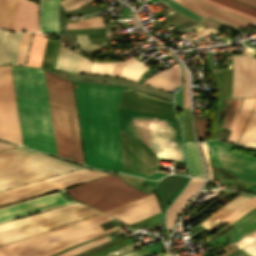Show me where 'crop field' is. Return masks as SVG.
<instances>
[{
	"instance_id": "crop-field-1",
	"label": "crop field",
	"mask_w": 256,
	"mask_h": 256,
	"mask_svg": "<svg viewBox=\"0 0 256 256\" xmlns=\"http://www.w3.org/2000/svg\"><path fill=\"white\" fill-rule=\"evenodd\" d=\"M86 162L96 168L121 172L119 113L120 99L173 110L171 103L134 91L128 87L88 85L73 82ZM122 172L150 179L166 173L150 175L123 169Z\"/></svg>"
},
{
	"instance_id": "crop-field-2",
	"label": "crop field",
	"mask_w": 256,
	"mask_h": 256,
	"mask_svg": "<svg viewBox=\"0 0 256 256\" xmlns=\"http://www.w3.org/2000/svg\"><path fill=\"white\" fill-rule=\"evenodd\" d=\"M11 69L24 145L57 155L43 71Z\"/></svg>"
},
{
	"instance_id": "crop-field-3",
	"label": "crop field",
	"mask_w": 256,
	"mask_h": 256,
	"mask_svg": "<svg viewBox=\"0 0 256 256\" xmlns=\"http://www.w3.org/2000/svg\"><path fill=\"white\" fill-rule=\"evenodd\" d=\"M44 74L58 155L83 164L70 81Z\"/></svg>"
},
{
	"instance_id": "crop-field-4",
	"label": "crop field",
	"mask_w": 256,
	"mask_h": 256,
	"mask_svg": "<svg viewBox=\"0 0 256 256\" xmlns=\"http://www.w3.org/2000/svg\"><path fill=\"white\" fill-rule=\"evenodd\" d=\"M81 168L21 147L0 152V190Z\"/></svg>"
},
{
	"instance_id": "crop-field-5",
	"label": "crop field",
	"mask_w": 256,
	"mask_h": 256,
	"mask_svg": "<svg viewBox=\"0 0 256 256\" xmlns=\"http://www.w3.org/2000/svg\"><path fill=\"white\" fill-rule=\"evenodd\" d=\"M66 192L71 197L102 212L152 193L145 194L113 174L71 188Z\"/></svg>"
},
{
	"instance_id": "crop-field-6",
	"label": "crop field",
	"mask_w": 256,
	"mask_h": 256,
	"mask_svg": "<svg viewBox=\"0 0 256 256\" xmlns=\"http://www.w3.org/2000/svg\"><path fill=\"white\" fill-rule=\"evenodd\" d=\"M0 138L22 145L10 66H0Z\"/></svg>"
},
{
	"instance_id": "crop-field-7",
	"label": "crop field",
	"mask_w": 256,
	"mask_h": 256,
	"mask_svg": "<svg viewBox=\"0 0 256 256\" xmlns=\"http://www.w3.org/2000/svg\"><path fill=\"white\" fill-rule=\"evenodd\" d=\"M207 144L213 164L248 181H256V158L232 152L234 144L218 140Z\"/></svg>"
},
{
	"instance_id": "crop-field-8",
	"label": "crop field",
	"mask_w": 256,
	"mask_h": 256,
	"mask_svg": "<svg viewBox=\"0 0 256 256\" xmlns=\"http://www.w3.org/2000/svg\"><path fill=\"white\" fill-rule=\"evenodd\" d=\"M111 220L103 213L0 247V256H9L71 233Z\"/></svg>"
},
{
	"instance_id": "crop-field-9",
	"label": "crop field",
	"mask_w": 256,
	"mask_h": 256,
	"mask_svg": "<svg viewBox=\"0 0 256 256\" xmlns=\"http://www.w3.org/2000/svg\"><path fill=\"white\" fill-rule=\"evenodd\" d=\"M100 213L88 206L0 232V245Z\"/></svg>"
},
{
	"instance_id": "crop-field-10",
	"label": "crop field",
	"mask_w": 256,
	"mask_h": 256,
	"mask_svg": "<svg viewBox=\"0 0 256 256\" xmlns=\"http://www.w3.org/2000/svg\"><path fill=\"white\" fill-rule=\"evenodd\" d=\"M106 173H100L96 171H85L82 173L74 174L64 178L56 179L46 183L38 184L28 188L20 189L10 193L0 195V206L8 203L16 202L26 198L34 197L44 193L52 192L58 189H62L68 186H72L86 180L101 176Z\"/></svg>"
},
{
	"instance_id": "crop-field-11",
	"label": "crop field",
	"mask_w": 256,
	"mask_h": 256,
	"mask_svg": "<svg viewBox=\"0 0 256 256\" xmlns=\"http://www.w3.org/2000/svg\"><path fill=\"white\" fill-rule=\"evenodd\" d=\"M72 202L75 201H68L59 192H56L53 194L0 208V222L44 211Z\"/></svg>"
},
{
	"instance_id": "crop-field-12",
	"label": "crop field",
	"mask_w": 256,
	"mask_h": 256,
	"mask_svg": "<svg viewBox=\"0 0 256 256\" xmlns=\"http://www.w3.org/2000/svg\"><path fill=\"white\" fill-rule=\"evenodd\" d=\"M121 138V158L122 167L133 170V155H134V170L150 174L156 167V158L149 155L139 145L133 141L132 155V139L120 130Z\"/></svg>"
},
{
	"instance_id": "crop-field-13",
	"label": "crop field",
	"mask_w": 256,
	"mask_h": 256,
	"mask_svg": "<svg viewBox=\"0 0 256 256\" xmlns=\"http://www.w3.org/2000/svg\"><path fill=\"white\" fill-rule=\"evenodd\" d=\"M160 211L155 194H151L105 213L126 223H133Z\"/></svg>"
},
{
	"instance_id": "crop-field-14",
	"label": "crop field",
	"mask_w": 256,
	"mask_h": 256,
	"mask_svg": "<svg viewBox=\"0 0 256 256\" xmlns=\"http://www.w3.org/2000/svg\"><path fill=\"white\" fill-rule=\"evenodd\" d=\"M232 97H250V57L232 56Z\"/></svg>"
},
{
	"instance_id": "crop-field-15",
	"label": "crop field",
	"mask_w": 256,
	"mask_h": 256,
	"mask_svg": "<svg viewBox=\"0 0 256 256\" xmlns=\"http://www.w3.org/2000/svg\"><path fill=\"white\" fill-rule=\"evenodd\" d=\"M22 28L27 31H37L38 29V12H35V3L27 0H20L15 21L14 30L21 31Z\"/></svg>"
},
{
	"instance_id": "crop-field-16",
	"label": "crop field",
	"mask_w": 256,
	"mask_h": 256,
	"mask_svg": "<svg viewBox=\"0 0 256 256\" xmlns=\"http://www.w3.org/2000/svg\"><path fill=\"white\" fill-rule=\"evenodd\" d=\"M69 79L90 81V82H96V83H111V84L127 85L145 92H149V93L173 100V95L165 91H161V90L146 86L144 84L134 83L126 80L109 78V77H100V76H88V75H81V74H74V73H69Z\"/></svg>"
},
{
	"instance_id": "crop-field-17",
	"label": "crop field",
	"mask_w": 256,
	"mask_h": 256,
	"mask_svg": "<svg viewBox=\"0 0 256 256\" xmlns=\"http://www.w3.org/2000/svg\"><path fill=\"white\" fill-rule=\"evenodd\" d=\"M100 231H103V229L99 225H97V226L91 227L89 229L74 233L72 235L57 239L55 241L40 245L38 247L23 251L21 253H18V254L12 255V256H35L37 254L54 249L56 247L62 246L64 244L73 242L75 240L84 238L86 236L92 235V234L100 232Z\"/></svg>"
},
{
	"instance_id": "crop-field-18",
	"label": "crop field",
	"mask_w": 256,
	"mask_h": 256,
	"mask_svg": "<svg viewBox=\"0 0 256 256\" xmlns=\"http://www.w3.org/2000/svg\"><path fill=\"white\" fill-rule=\"evenodd\" d=\"M202 182L203 180L192 178V180L187 185L185 190L168 208L166 212V226H167L168 232L172 228L174 221L177 215L179 214V212L182 210V208L185 206L188 200L194 195V193L197 191V189L202 184Z\"/></svg>"
},
{
	"instance_id": "crop-field-19",
	"label": "crop field",
	"mask_w": 256,
	"mask_h": 256,
	"mask_svg": "<svg viewBox=\"0 0 256 256\" xmlns=\"http://www.w3.org/2000/svg\"><path fill=\"white\" fill-rule=\"evenodd\" d=\"M144 84L155 88H162L169 91L180 85V71L178 64L161 72L155 74L144 81Z\"/></svg>"
},
{
	"instance_id": "crop-field-20",
	"label": "crop field",
	"mask_w": 256,
	"mask_h": 256,
	"mask_svg": "<svg viewBox=\"0 0 256 256\" xmlns=\"http://www.w3.org/2000/svg\"><path fill=\"white\" fill-rule=\"evenodd\" d=\"M59 0H42L41 31L57 33Z\"/></svg>"
},
{
	"instance_id": "crop-field-21",
	"label": "crop field",
	"mask_w": 256,
	"mask_h": 256,
	"mask_svg": "<svg viewBox=\"0 0 256 256\" xmlns=\"http://www.w3.org/2000/svg\"><path fill=\"white\" fill-rule=\"evenodd\" d=\"M81 206H85V205L80 204V203H76V204L68 205V206H65V207L57 208V209H54V210L41 212V213H38V214H35V215H30V216L22 217V218L15 219V220H12V221L4 222V223L0 224V230H4V229H7V228L14 227V226H17V225H21V224L31 222V221H34V220H37V219H41V218L48 217V216H51V215H54V214L65 212V211L75 209V208H78V207H81Z\"/></svg>"
},
{
	"instance_id": "crop-field-22",
	"label": "crop field",
	"mask_w": 256,
	"mask_h": 256,
	"mask_svg": "<svg viewBox=\"0 0 256 256\" xmlns=\"http://www.w3.org/2000/svg\"><path fill=\"white\" fill-rule=\"evenodd\" d=\"M176 1L179 2L180 4H182L183 6L187 7L188 9H190L196 13H199L201 15H204L206 17L212 15L217 18H220V19L226 20L228 22L234 23L236 25H239V26L245 27L247 25V23H245V22L239 21V20L229 17L227 15H224V14H221L214 10L208 9L193 0H176Z\"/></svg>"
},
{
	"instance_id": "crop-field-23",
	"label": "crop field",
	"mask_w": 256,
	"mask_h": 256,
	"mask_svg": "<svg viewBox=\"0 0 256 256\" xmlns=\"http://www.w3.org/2000/svg\"><path fill=\"white\" fill-rule=\"evenodd\" d=\"M79 58L80 55H78L74 51L66 47L60 46L54 69L70 70L76 72Z\"/></svg>"
},
{
	"instance_id": "crop-field-24",
	"label": "crop field",
	"mask_w": 256,
	"mask_h": 256,
	"mask_svg": "<svg viewBox=\"0 0 256 256\" xmlns=\"http://www.w3.org/2000/svg\"><path fill=\"white\" fill-rule=\"evenodd\" d=\"M47 39L42 34L34 33L26 65L40 67Z\"/></svg>"
},
{
	"instance_id": "crop-field-25",
	"label": "crop field",
	"mask_w": 256,
	"mask_h": 256,
	"mask_svg": "<svg viewBox=\"0 0 256 256\" xmlns=\"http://www.w3.org/2000/svg\"><path fill=\"white\" fill-rule=\"evenodd\" d=\"M22 35L9 32L1 64L16 63Z\"/></svg>"
},
{
	"instance_id": "crop-field-26",
	"label": "crop field",
	"mask_w": 256,
	"mask_h": 256,
	"mask_svg": "<svg viewBox=\"0 0 256 256\" xmlns=\"http://www.w3.org/2000/svg\"><path fill=\"white\" fill-rule=\"evenodd\" d=\"M247 199H249V197H245L241 195L237 196L236 198H234L233 200H231L230 202L222 206L219 210H217L214 214H212L210 217L205 219L200 224H202L207 229L211 228L216 222H218L223 216H225L228 212H230L235 206H237L238 204L242 203ZM217 216L218 218L213 220Z\"/></svg>"
},
{
	"instance_id": "crop-field-27",
	"label": "crop field",
	"mask_w": 256,
	"mask_h": 256,
	"mask_svg": "<svg viewBox=\"0 0 256 256\" xmlns=\"http://www.w3.org/2000/svg\"><path fill=\"white\" fill-rule=\"evenodd\" d=\"M185 150L188 154L192 176L205 178L195 142H185Z\"/></svg>"
},
{
	"instance_id": "crop-field-28",
	"label": "crop field",
	"mask_w": 256,
	"mask_h": 256,
	"mask_svg": "<svg viewBox=\"0 0 256 256\" xmlns=\"http://www.w3.org/2000/svg\"><path fill=\"white\" fill-rule=\"evenodd\" d=\"M256 229V211L231 227L233 240L236 241Z\"/></svg>"
},
{
	"instance_id": "crop-field-29",
	"label": "crop field",
	"mask_w": 256,
	"mask_h": 256,
	"mask_svg": "<svg viewBox=\"0 0 256 256\" xmlns=\"http://www.w3.org/2000/svg\"><path fill=\"white\" fill-rule=\"evenodd\" d=\"M256 98H247L243 100V103L241 105L240 111L238 113L237 119L235 121L234 127L232 129V133L228 140L234 141L254 103Z\"/></svg>"
},
{
	"instance_id": "crop-field-30",
	"label": "crop field",
	"mask_w": 256,
	"mask_h": 256,
	"mask_svg": "<svg viewBox=\"0 0 256 256\" xmlns=\"http://www.w3.org/2000/svg\"><path fill=\"white\" fill-rule=\"evenodd\" d=\"M239 143L256 148V107Z\"/></svg>"
},
{
	"instance_id": "crop-field-31",
	"label": "crop field",
	"mask_w": 256,
	"mask_h": 256,
	"mask_svg": "<svg viewBox=\"0 0 256 256\" xmlns=\"http://www.w3.org/2000/svg\"><path fill=\"white\" fill-rule=\"evenodd\" d=\"M141 62L136 59L133 60L128 65L123 67L119 76L138 81L140 75L149 70L146 66L143 65L144 63Z\"/></svg>"
},
{
	"instance_id": "crop-field-32",
	"label": "crop field",
	"mask_w": 256,
	"mask_h": 256,
	"mask_svg": "<svg viewBox=\"0 0 256 256\" xmlns=\"http://www.w3.org/2000/svg\"><path fill=\"white\" fill-rule=\"evenodd\" d=\"M256 207V196L235 207L227 216L222 218L227 223H232L250 209Z\"/></svg>"
},
{
	"instance_id": "crop-field-33",
	"label": "crop field",
	"mask_w": 256,
	"mask_h": 256,
	"mask_svg": "<svg viewBox=\"0 0 256 256\" xmlns=\"http://www.w3.org/2000/svg\"><path fill=\"white\" fill-rule=\"evenodd\" d=\"M231 100V107L228 111L229 108V102ZM241 102V98H237V99H227L226 101V106H225V115H224V119H223V128L226 129H232L233 123H234V119H235V115L237 113V110L239 108ZM228 111V113H227Z\"/></svg>"
},
{
	"instance_id": "crop-field-34",
	"label": "crop field",
	"mask_w": 256,
	"mask_h": 256,
	"mask_svg": "<svg viewBox=\"0 0 256 256\" xmlns=\"http://www.w3.org/2000/svg\"><path fill=\"white\" fill-rule=\"evenodd\" d=\"M210 1L218 3L225 7L231 8L233 10H236L238 12H241V13H244L246 15L256 18V9L255 8L245 5L236 0H210Z\"/></svg>"
},
{
	"instance_id": "crop-field-35",
	"label": "crop field",
	"mask_w": 256,
	"mask_h": 256,
	"mask_svg": "<svg viewBox=\"0 0 256 256\" xmlns=\"http://www.w3.org/2000/svg\"><path fill=\"white\" fill-rule=\"evenodd\" d=\"M103 9H107V6L106 5H101V6H97V7H94L92 9H89L87 11H83V12H79V13L74 11V12L66 14L64 12V10L62 9L61 5L59 4L58 33H64L65 17L71 16V15H76V14H80V15L88 14V13L100 11V10H103Z\"/></svg>"
},
{
	"instance_id": "crop-field-36",
	"label": "crop field",
	"mask_w": 256,
	"mask_h": 256,
	"mask_svg": "<svg viewBox=\"0 0 256 256\" xmlns=\"http://www.w3.org/2000/svg\"><path fill=\"white\" fill-rule=\"evenodd\" d=\"M164 3H166L169 7H171L172 9H174L175 11L187 16L188 18L197 21V22H201L203 21L206 17L197 15L193 12H191L190 10L186 9L185 7L181 6L179 3H177L174 0H162Z\"/></svg>"
},
{
	"instance_id": "crop-field-37",
	"label": "crop field",
	"mask_w": 256,
	"mask_h": 256,
	"mask_svg": "<svg viewBox=\"0 0 256 256\" xmlns=\"http://www.w3.org/2000/svg\"><path fill=\"white\" fill-rule=\"evenodd\" d=\"M103 25V19L101 16L83 19L75 24H67V28L69 29H79V28H93V27H102Z\"/></svg>"
},
{
	"instance_id": "crop-field-38",
	"label": "crop field",
	"mask_w": 256,
	"mask_h": 256,
	"mask_svg": "<svg viewBox=\"0 0 256 256\" xmlns=\"http://www.w3.org/2000/svg\"><path fill=\"white\" fill-rule=\"evenodd\" d=\"M18 2H19V0H11L1 27L9 28V29L12 28V24H13L16 9H17V6H18Z\"/></svg>"
},
{
	"instance_id": "crop-field-39",
	"label": "crop field",
	"mask_w": 256,
	"mask_h": 256,
	"mask_svg": "<svg viewBox=\"0 0 256 256\" xmlns=\"http://www.w3.org/2000/svg\"><path fill=\"white\" fill-rule=\"evenodd\" d=\"M67 34H87L88 38L106 36V27L94 29L69 30Z\"/></svg>"
},
{
	"instance_id": "crop-field-40",
	"label": "crop field",
	"mask_w": 256,
	"mask_h": 256,
	"mask_svg": "<svg viewBox=\"0 0 256 256\" xmlns=\"http://www.w3.org/2000/svg\"><path fill=\"white\" fill-rule=\"evenodd\" d=\"M85 170H89V169L82 168V169H78V170L71 171V172H68V173H64V174H61V175H57V176H53V177L46 178V179H43V180H39V181H36V182H32V183H29V184H25V185H21V186H18V187L11 188V189L3 190V191H0V194L10 192V191H13V190H17V189H20V188L28 187V186H31V185H35V184H38V183L46 182V181L53 180V179H56V178L64 177V176L71 175V174H74V173L82 172V171H85Z\"/></svg>"
},
{
	"instance_id": "crop-field-41",
	"label": "crop field",
	"mask_w": 256,
	"mask_h": 256,
	"mask_svg": "<svg viewBox=\"0 0 256 256\" xmlns=\"http://www.w3.org/2000/svg\"><path fill=\"white\" fill-rule=\"evenodd\" d=\"M115 62L98 63L94 62L91 73L94 74H111Z\"/></svg>"
},
{
	"instance_id": "crop-field-42",
	"label": "crop field",
	"mask_w": 256,
	"mask_h": 256,
	"mask_svg": "<svg viewBox=\"0 0 256 256\" xmlns=\"http://www.w3.org/2000/svg\"><path fill=\"white\" fill-rule=\"evenodd\" d=\"M30 36H31V33H24L16 64H20V65L24 64V60H25L28 45H29Z\"/></svg>"
},
{
	"instance_id": "crop-field-43",
	"label": "crop field",
	"mask_w": 256,
	"mask_h": 256,
	"mask_svg": "<svg viewBox=\"0 0 256 256\" xmlns=\"http://www.w3.org/2000/svg\"><path fill=\"white\" fill-rule=\"evenodd\" d=\"M76 37H77L80 49L84 52H89V51L96 50V49H99V48H102L105 46V42L99 46H95V45L90 46L86 35H76ZM98 44H100V43H97L96 45H98Z\"/></svg>"
},
{
	"instance_id": "crop-field-44",
	"label": "crop field",
	"mask_w": 256,
	"mask_h": 256,
	"mask_svg": "<svg viewBox=\"0 0 256 256\" xmlns=\"http://www.w3.org/2000/svg\"><path fill=\"white\" fill-rule=\"evenodd\" d=\"M94 0H62L60 1V4L62 5L65 12L76 9L80 6H83L89 2H92Z\"/></svg>"
},
{
	"instance_id": "crop-field-45",
	"label": "crop field",
	"mask_w": 256,
	"mask_h": 256,
	"mask_svg": "<svg viewBox=\"0 0 256 256\" xmlns=\"http://www.w3.org/2000/svg\"><path fill=\"white\" fill-rule=\"evenodd\" d=\"M107 240H109V238L107 236H105L103 238H100V239L95 240L93 242H90V243H87L85 245L79 246V247H77V248H75V249H73V250H71L69 252H66V253L58 255V256H72V255H74V254H76L78 252H81V251H83L85 249H88V248H90V247H92L94 245H97V244L102 243V242L107 241Z\"/></svg>"
},
{
	"instance_id": "crop-field-46",
	"label": "crop field",
	"mask_w": 256,
	"mask_h": 256,
	"mask_svg": "<svg viewBox=\"0 0 256 256\" xmlns=\"http://www.w3.org/2000/svg\"><path fill=\"white\" fill-rule=\"evenodd\" d=\"M121 227H122L121 225L116 226V227H114V228H111V229H108V230L103 231V232H101V233H98V234L92 235V236H90V237H87V238L81 239V240H79V241H76V242L70 243V244L65 245V246H62V247H60V248H57V249L51 250V251H49V252H46V253L40 254V255H38V256H47V255H50V254H52V253H54V252H57V251H59V250H61V249L66 248V247H68V246H71V245H74V244L80 243V242H82V241H85V240H88V239H91V238H94V237L100 236V235H102V234H105V233H108V232H111V231H114V230L119 229V228H121Z\"/></svg>"
},
{
	"instance_id": "crop-field-47",
	"label": "crop field",
	"mask_w": 256,
	"mask_h": 256,
	"mask_svg": "<svg viewBox=\"0 0 256 256\" xmlns=\"http://www.w3.org/2000/svg\"><path fill=\"white\" fill-rule=\"evenodd\" d=\"M51 42H52V40L48 39L47 45H46V49H45V53H44V57H43V61H42V65H41L42 68H45V66H46V62H47V58H48ZM55 45H56V43L53 42L46 68L50 67V63H51V60H52V56H53V52H54V49H55Z\"/></svg>"
},
{
	"instance_id": "crop-field-48",
	"label": "crop field",
	"mask_w": 256,
	"mask_h": 256,
	"mask_svg": "<svg viewBox=\"0 0 256 256\" xmlns=\"http://www.w3.org/2000/svg\"><path fill=\"white\" fill-rule=\"evenodd\" d=\"M197 135L199 139H206L207 135V118L196 119Z\"/></svg>"
},
{
	"instance_id": "crop-field-49",
	"label": "crop field",
	"mask_w": 256,
	"mask_h": 256,
	"mask_svg": "<svg viewBox=\"0 0 256 256\" xmlns=\"http://www.w3.org/2000/svg\"><path fill=\"white\" fill-rule=\"evenodd\" d=\"M251 97H256V58L251 57Z\"/></svg>"
},
{
	"instance_id": "crop-field-50",
	"label": "crop field",
	"mask_w": 256,
	"mask_h": 256,
	"mask_svg": "<svg viewBox=\"0 0 256 256\" xmlns=\"http://www.w3.org/2000/svg\"><path fill=\"white\" fill-rule=\"evenodd\" d=\"M92 63L88 59L81 56L77 72L90 73Z\"/></svg>"
},
{
	"instance_id": "crop-field-51",
	"label": "crop field",
	"mask_w": 256,
	"mask_h": 256,
	"mask_svg": "<svg viewBox=\"0 0 256 256\" xmlns=\"http://www.w3.org/2000/svg\"><path fill=\"white\" fill-rule=\"evenodd\" d=\"M183 86H184V107H189L188 101V76L183 67Z\"/></svg>"
},
{
	"instance_id": "crop-field-52",
	"label": "crop field",
	"mask_w": 256,
	"mask_h": 256,
	"mask_svg": "<svg viewBox=\"0 0 256 256\" xmlns=\"http://www.w3.org/2000/svg\"><path fill=\"white\" fill-rule=\"evenodd\" d=\"M240 249L244 251L248 256H256V240L252 241L251 243L245 245Z\"/></svg>"
},
{
	"instance_id": "crop-field-53",
	"label": "crop field",
	"mask_w": 256,
	"mask_h": 256,
	"mask_svg": "<svg viewBox=\"0 0 256 256\" xmlns=\"http://www.w3.org/2000/svg\"><path fill=\"white\" fill-rule=\"evenodd\" d=\"M199 145H200V147L203 151V154H204V157H205V160H206V163H207V168H208V172H209V179L212 180L211 167H210V161H209V157H208V150H207L206 142L199 143Z\"/></svg>"
},
{
	"instance_id": "crop-field-54",
	"label": "crop field",
	"mask_w": 256,
	"mask_h": 256,
	"mask_svg": "<svg viewBox=\"0 0 256 256\" xmlns=\"http://www.w3.org/2000/svg\"><path fill=\"white\" fill-rule=\"evenodd\" d=\"M254 239H256V231H254L253 233L249 234L248 236L244 237L243 239L239 240L234 244L240 248Z\"/></svg>"
},
{
	"instance_id": "crop-field-55",
	"label": "crop field",
	"mask_w": 256,
	"mask_h": 256,
	"mask_svg": "<svg viewBox=\"0 0 256 256\" xmlns=\"http://www.w3.org/2000/svg\"><path fill=\"white\" fill-rule=\"evenodd\" d=\"M201 1L207 3V4L211 5V6H214V7H216V8L222 9V10H224V11H227V12H230V13H233V14H236V15H238V16H241V17H244V18H247V19H250V20L256 22L255 19H252V18L247 17V16H245V15H242V14H240V13H237V12H234V11H232V10H229V9L223 7V6L217 5V4L212 3V2H209V1H207V0H201Z\"/></svg>"
},
{
	"instance_id": "crop-field-56",
	"label": "crop field",
	"mask_w": 256,
	"mask_h": 256,
	"mask_svg": "<svg viewBox=\"0 0 256 256\" xmlns=\"http://www.w3.org/2000/svg\"><path fill=\"white\" fill-rule=\"evenodd\" d=\"M133 58H134V57L132 56V57H130L129 59H127L126 61L117 62L111 75L118 76L119 73H120V71H121V69H122V67H123L124 65H126V64H127L130 60H132Z\"/></svg>"
},
{
	"instance_id": "crop-field-57",
	"label": "crop field",
	"mask_w": 256,
	"mask_h": 256,
	"mask_svg": "<svg viewBox=\"0 0 256 256\" xmlns=\"http://www.w3.org/2000/svg\"><path fill=\"white\" fill-rule=\"evenodd\" d=\"M10 0H0V26L6 13Z\"/></svg>"
},
{
	"instance_id": "crop-field-58",
	"label": "crop field",
	"mask_w": 256,
	"mask_h": 256,
	"mask_svg": "<svg viewBox=\"0 0 256 256\" xmlns=\"http://www.w3.org/2000/svg\"><path fill=\"white\" fill-rule=\"evenodd\" d=\"M214 32H217V31L214 30V29H212V28H210V27H207V28L202 29V30H200V31H198V32H195V33H193V34L186 35V36H183V37L187 38V37L194 36V35H196L197 37H199V36L211 34V33H214Z\"/></svg>"
},
{
	"instance_id": "crop-field-59",
	"label": "crop field",
	"mask_w": 256,
	"mask_h": 256,
	"mask_svg": "<svg viewBox=\"0 0 256 256\" xmlns=\"http://www.w3.org/2000/svg\"><path fill=\"white\" fill-rule=\"evenodd\" d=\"M162 245H163L162 241L156 242V243H153L151 245H148V246H145V247L141 248V250H139V251H131V252H129V253L123 255V256H130V255L136 254L138 252L146 251V250L152 249L154 247L162 246Z\"/></svg>"
},
{
	"instance_id": "crop-field-60",
	"label": "crop field",
	"mask_w": 256,
	"mask_h": 256,
	"mask_svg": "<svg viewBox=\"0 0 256 256\" xmlns=\"http://www.w3.org/2000/svg\"><path fill=\"white\" fill-rule=\"evenodd\" d=\"M7 33L8 31L0 30V62H1L2 54L4 50Z\"/></svg>"
},
{
	"instance_id": "crop-field-61",
	"label": "crop field",
	"mask_w": 256,
	"mask_h": 256,
	"mask_svg": "<svg viewBox=\"0 0 256 256\" xmlns=\"http://www.w3.org/2000/svg\"><path fill=\"white\" fill-rule=\"evenodd\" d=\"M195 1H197V2H199V3H201V4H203V5H205V6H207V7H210V8H212V9H215V10H217V11H220V12H222V13H225V14H227V15H230V16H232V17H235V18H237V19H240V20H242V21H245V22H247V23H251V24H253V25H256L255 22H252V21H249V20H247V19L238 17V16H236V15H233V14H230V13H227V12H224V11H222V10L213 8L214 6L211 7V6H209V5H207V4L203 3V2H201L200 0H195Z\"/></svg>"
},
{
	"instance_id": "crop-field-62",
	"label": "crop field",
	"mask_w": 256,
	"mask_h": 256,
	"mask_svg": "<svg viewBox=\"0 0 256 256\" xmlns=\"http://www.w3.org/2000/svg\"><path fill=\"white\" fill-rule=\"evenodd\" d=\"M128 136H130L135 142H137L143 149H145L148 153H153L149 150L143 143H141L135 136H133L130 132L124 131Z\"/></svg>"
},
{
	"instance_id": "crop-field-63",
	"label": "crop field",
	"mask_w": 256,
	"mask_h": 256,
	"mask_svg": "<svg viewBox=\"0 0 256 256\" xmlns=\"http://www.w3.org/2000/svg\"><path fill=\"white\" fill-rule=\"evenodd\" d=\"M213 169H214V171H216V172H219V173H222V174H224V175L230 176V177L235 178V179H237V180H240V179H241V178H239V177H237V176H235V175H233V174H231V173H228V172H226V171H224V170H221V169H219V168H217V167H215V166H213Z\"/></svg>"
},
{
	"instance_id": "crop-field-64",
	"label": "crop field",
	"mask_w": 256,
	"mask_h": 256,
	"mask_svg": "<svg viewBox=\"0 0 256 256\" xmlns=\"http://www.w3.org/2000/svg\"><path fill=\"white\" fill-rule=\"evenodd\" d=\"M162 247H163V246H162ZM160 251H161V247L155 248V249H152V250H149V251L140 253V254H136V255H134V256H143V255L152 254V253H156V252H160Z\"/></svg>"
},
{
	"instance_id": "crop-field-65",
	"label": "crop field",
	"mask_w": 256,
	"mask_h": 256,
	"mask_svg": "<svg viewBox=\"0 0 256 256\" xmlns=\"http://www.w3.org/2000/svg\"><path fill=\"white\" fill-rule=\"evenodd\" d=\"M255 105H256V101H255V103H254V105H253V107H252V109H251V111H250V114H249V116H248V118H247V120H246V122H245V124H244V126H243V129H242V131H241V133H240V135H239V137H238V139H237V141H236L237 143H238L239 140H240V137H241V135H242V132H243V130H244L246 124H247V121H248V119H249V117H250V115H251V113H252V111H253Z\"/></svg>"
},
{
	"instance_id": "crop-field-66",
	"label": "crop field",
	"mask_w": 256,
	"mask_h": 256,
	"mask_svg": "<svg viewBox=\"0 0 256 256\" xmlns=\"http://www.w3.org/2000/svg\"><path fill=\"white\" fill-rule=\"evenodd\" d=\"M12 146H15V145H10V144L0 142V150L5 149V148H9V147H12Z\"/></svg>"
},
{
	"instance_id": "crop-field-67",
	"label": "crop field",
	"mask_w": 256,
	"mask_h": 256,
	"mask_svg": "<svg viewBox=\"0 0 256 256\" xmlns=\"http://www.w3.org/2000/svg\"><path fill=\"white\" fill-rule=\"evenodd\" d=\"M256 7V0H240Z\"/></svg>"
},
{
	"instance_id": "crop-field-68",
	"label": "crop field",
	"mask_w": 256,
	"mask_h": 256,
	"mask_svg": "<svg viewBox=\"0 0 256 256\" xmlns=\"http://www.w3.org/2000/svg\"><path fill=\"white\" fill-rule=\"evenodd\" d=\"M200 26H202V25L198 24V25H196V26H193V27H191V28H189V29H186V30H184V31H180V32H178V33L181 34V33H184V32H186V31L192 30V29L197 28V27H200Z\"/></svg>"
},
{
	"instance_id": "crop-field-69",
	"label": "crop field",
	"mask_w": 256,
	"mask_h": 256,
	"mask_svg": "<svg viewBox=\"0 0 256 256\" xmlns=\"http://www.w3.org/2000/svg\"><path fill=\"white\" fill-rule=\"evenodd\" d=\"M256 187V182L254 184H252L251 186L247 187L246 189L250 190L252 188Z\"/></svg>"
},
{
	"instance_id": "crop-field-70",
	"label": "crop field",
	"mask_w": 256,
	"mask_h": 256,
	"mask_svg": "<svg viewBox=\"0 0 256 256\" xmlns=\"http://www.w3.org/2000/svg\"><path fill=\"white\" fill-rule=\"evenodd\" d=\"M177 166H181V167H185L187 168L186 164H182V163H176Z\"/></svg>"
},
{
	"instance_id": "crop-field-71",
	"label": "crop field",
	"mask_w": 256,
	"mask_h": 256,
	"mask_svg": "<svg viewBox=\"0 0 256 256\" xmlns=\"http://www.w3.org/2000/svg\"><path fill=\"white\" fill-rule=\"evenodd\" d=\"M243 54H246V48H243Z\"/></svg>"
},
{
	"instance_id": "crop-field-72",
	"label": "crop field",
	"mask_w": 256,
	"mask_h": 256,
	"mask_svg": "<svg viewBox=\"0 0 256 256\" xmlns=\"http://www.w3.org/2000/svg\"><path fill=\"white\" fill-rule=\"evenodd\" d=\"M34 1H36V0H34Z\"/></svg>"
},
{
	"instance_id": "crop-field-73",
	"label": "crop field",
	"mask_w": 256,
	"mask_h": 256,
	"mask_svg": "<svg viewBox=\"0 0 256 256\" xmlns=\"http://www.w3.org/2000/svg\"><path fill=\"white\" fill-rule=\"evenodd\" d=\"M156 1V0H155Z\"/></svg>"
}]
</instances>
